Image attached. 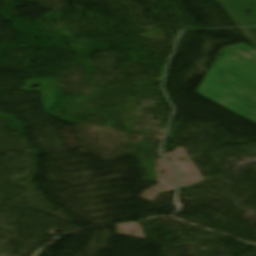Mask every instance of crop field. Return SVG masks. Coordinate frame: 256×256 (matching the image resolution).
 <instances>
[{
	"instance_id": "crop-field-1",
	"label": "crop field",
	"mask_w": 256,
	"mask_h": 256,
	"mask_svg": "<svg viewBox=\"0 0 256 256\" xmlns=\"http://www.w3.org/2000/svg\"><path fill=\"white\" fill-rule=\"evenodd\" d=\"M242 44L223 51L198 93L221 105L232 99L224 93L233 89L218 81L228 77L227 75L231 76L232 78L222 82L237 88L228 93L235 99L222 106L256 123V51Z\"/></svg>"
}]
</instances>
